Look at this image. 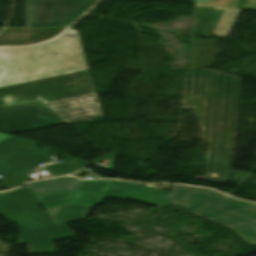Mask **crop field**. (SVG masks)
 <instances>
[{"label": "crop field", "mask_w": 256, "mask_h": 256, "mask_svg": "<svg viewBox=\"0 0 256 256\" xmlns=\"http://www.w3.org/2000/svg\"><path fill=\"white\" fill-rule=\"evenodd\" d=\"M202 35H203L202 33H198V32L193 31V36H202Z\"/></svg>", "instance_id": "crop-field-18"}, {"label": "crop field", "mask_w": 256, "mask_h": 256, "mask_svg": "<svg viewBox=\"0 0 256 256\" xmlns=\"http://www.w3.org/2000/svg\"><path fill=\"white\" fill-rule=\"evenodd\" d=\"M98 0H25L27 27L70 26Z\"/></svg>", "instance_id": "crop-field-7"}, {"label": "crop field", "mask_w": 256, "mask_h": 256, "mask_svg": "<svg viewBox=\"0 0 256 256\" xmlns=\"http://www.w3.org/2000/svg\"><path fill=\"white\" fill-rule=\"evenodd\" d=\"M171 205L182 208L184 205L183 204H176V203H171Z\"/></svg>", "instance_id": "crop-field-17"}, {"label": "crop field", "mask_w": 256, "mask_h": 256, "mask_svg": "<svg viewBox=\"0 0 256 256\" xmlns=\"http://www.w3.org/2000/svg\"><path fill=\"white\" fill-rule=\"evenodd\" d=\"M107 195L164 206L170 203L171 192L141 185V183L110 180L84 181L69 204H100Z\"/></svg>", "instance_id": "crop-field-5"}, {"label": "crop field", "mask_w": 256, "mask_h": 256, "mask_svg": "<svg viewBox=\"0 0 256 256\" xmlns=\"http://www.w3.org/2000/svg\"><path fill=\"white\" fill-rule=\"evenodd\" d=\"M81 180L72 177L29 183V186L44 207L67 204Z\"/></svg>", "instance_id": "crop-field-9"}, {"label": "crop field", "mask_w": 256, "mask_h": 256, "mask_svg": "<svg viewBox=\"0 0 256 256\" xmlns=\"http://www.w3.org/2000/svg\"><path fill=\"white\" fill-rule=\"evenodd\" d=\"M60 207H61V205L60 206H56V207L47 208L46 211L51 216V218L54 219V217L57 214V212L60 209Z\"/></svg>", "instance_id": "crop-field-15"}, {"label": "crop field", "mask_w": 256, "mask_h": 256, "mask_svg": "<svg viewBox=\"0 0 256 256\" xmlns=\"http://www.w3.org/2000/svg\"><path fill=\"white\" fill-rule=\"evenodd\" d=\"M240 79L212 71L187 74L183 104L195 109L210 142L208 176L223 178L230 170Z\"/></svg>", "instance_id": "crop-field-2"}, {"label": "crop field", "mask_w": 256, "mask_h": 256, "mask_svg": "<svg viewBox=\"0 0 256 256\" xmlns=\"http://www.w3.org/2000/svg\"><path fill=\"white\" fill-rule=\"evenodd\" d=\"M47 105L67 121L101 114L96 94Z\"/></svg>", "instance_id": "crop-field-11"}, {"label": "crop field", "mask_w": 256, "mask_h": 256, "mask_svg": "<svg viewBox=\"0 0 256 256\" xmlns=\"http://www.w3.org/2000/svg\"><path fill=\"white\" fill-rule=\"evenodd\" d=\"M34 144L14 136L0 142V176L25 174L39 163L53 162L52 155ZM31 179L29 175L0 179V186L11 189Z\"/></svg>", "instance_id": "crop-field-6"}, {"label": "crop field", "mask_w": 256, "mask_h": 256, "mask_svg": "<svg viewBox=\"0 0 256 256\" xmlns=\"http://www.w3.org/2000/svg\"><path fill=\"white\" fill-rule=\"evenodd\" d=\"M62 121L66 120L43 102L0 110V131L6 133Z\"/></svg>", "instance_id": "crop-field-8"}, {"label": "crop field", "mask_w": 256, "mask_h": 256, "mask_svg": "<svg viewBox=\"0 0 256 256\" xmlns=\"http://www.w3.org/2000/svg\"><path fill=\"white\" fill-rule=\"evenodd\" d=\"M66 28H7L0 34V47L24 46L44 42L60 35Z\"/></svg>", "instance_id": "crop-field-10"}, {"label": "crop field", "mask_w": 256, "mask_h": 256, "mask_svg": "<svg viewBox=\"0 0 256 256\" xmlns=\"http://www.w3.org/2000/svg\"><path fill=\"white\" fill-rule=\"evenodd\" d=\"M37 205L28 186L0 193V215L21 229L16 245L27 244L30 254L56 252L53 241L76 235L66 224L54 225Z\"/></svg>", "instance_id": "crop-field-3"}, {"label": "crop field", "mask_w": 256, "mask_h": 256, "mask_svg": "<svg viewBox=\"0 0 256 256\" xmlns=\"http://www.w3.org/2000/svg\"><path fill=\"white\" fill-rule=\"evenodd\" d=\"M90 208L91 206L83 205H62L54 219V223L58 224L85 218Z\"/></svg>", "instance_id": "crop-field-12"}, {"label": "crop field", "mask_w": 256, "mask_h": 256, "mask_svg": "<svg viewBox=\"0 0 256 256\" xmlns=\"http://www.w3.org/2000/svg\"><path fill=\"white\" fill-rule=\"evenodd\" d=\"M250 175H251L250 173L231 170L225 178L235 180V181L245 182Z\"/></svg>", "instance_id": "crop-field-14"}, {"label": "crop field", "mask_w": 256, "mask_h": 256, "mask_svg": "<svg viewBox=\"0 0 256 256\" xmlns=\"http://www.w3.org/2000/svg\"><path fill=\"white\" fill-rule=\"evenodd\" d=\"M94 93L75 30L43 45L0 49V109Z\"/></svg>", "instance_id": "crop-field-1"}, {"label": "crop field", "mask_w": 256, "mask_h": 256, "mask_svg": "<svg viewBox=\"0 0 256 256\" xmlns=\"http://www.w3.org/2000/svg\"><path fill=\"white\" fill-rule=\"evenodd\" d=\"M171 202L183 203L182 209L232 228L245 242L256 247V204L183 185H173Z\"/></svg>", "instance_id": "crop-field-4"}, {"label": "crop field", "mask_w": 256, "mask_h": 256, "mask_svg": "<svg viewBox=\"0 0 256 256\" xmlns=\"http://www.w3.org/2000/svg\"><path fill=\"white\" fill-rule=\"evenodd\" d=\"M82 163H80L77 160H72V159H65L64 163L46 167L45 169L52 175H61V174H66L69 172H72L74 170H77L81 167H83Z\"/></svg>", "instance_id": "crop-field-13"}, {"label": "crop field", "mask_w": 256, "mask_h": 256, "mask_svg": "<svg viewBox=\"0 0 256 256\" xmlns=\"http://www.w3.org/2000/svg\"><path fill=\"white\" fill-rule=\"evenodd\" d=\"M10 136H11V135L4 134V133H1V132H0V141L4 140V139H6V138H8V137H10Z\"/></svg>", "instance_id": "crop-field-16"}, {"label": "crop field", "mask_w": 256, "mask_h": 256, "mask_svg": "<svg viewBox=\"0 0 256 256\" xmlns=\"http://www.w3.org/2000/svg\"><path fill=\"white\" fill-rule=\"evenodd\" d=\"M2 30H3V28L0 29V31H2Z\"/></svg>", "instance_id": "crop-field-19"}]
</instances>
